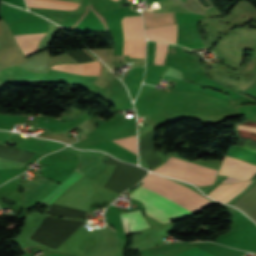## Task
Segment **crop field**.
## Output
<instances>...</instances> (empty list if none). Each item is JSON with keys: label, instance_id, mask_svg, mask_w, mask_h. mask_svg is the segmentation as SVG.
I'll return each instance as SVG.
<instances>
[{"label": "crop field", "instance_id": "obj_1", "mask_svg": "<svg viewBox=\"0 0 256 256\" xmlns=\"http://www.w3.org/2000/svg\"><path fill=\"white\" fill-rule=\"evenodd\" d=\"M141 187L160 193L182 206L196 212L213 203L198 193L177 185L167 179L149 173ZM139 187L130 197L144 202L146 213L164 223L176 220L194 212L178 203L152 191Z\"/></svg>", "mask_w": 256, "mask_h": 256}, {"label": "crop field", "instance_id": "obj_2", "mask_svg": "<svg viewBox=\"0 0 256 256\" xmlns=\"http://www.w3.org/2000/svg\"><path fill=\"white\" fill-rule=\"evenodd\" d=\"M154 172L197 185L212 184L217 173L214 169L173 157Z\"/></svg>", "mask_w": 256, "mask_h": 256}, {"label": "crop field", "instance_id": "obj_3", "mask_svg": "<svg viewBox=\"0 0 256 256\" xmlns=\"http://www.w3.org/2000/svg\"><path fill=\"white\" fill-rule=\"evenodd\" d=\"M104 162L117 165L105 188L119 194L137 184L148 173L138 166L120 162L108 154Z\"/></svg>", "mask_w": 256, "mask_h": 256}, {"label": "crop field", "instance_id": "obj_4", "mask_svg": "<svg viewBox=\"0 0 256 256\" xmlns=\"http://www.w3.org/2000/svg\"><path fill=\"white\" fill-rule=\"evenodd\" d=\"M256 172V165L224 155L220 175L229 176L222 183H234L249 179Z\"/></svg>", "mask_w": 256, "mask_h": 256}, {"label": "crop field", "instance_id": "obj_5", "mask_svg": "<svg viewBox=\"0 0 256 256\" xmlns=\"http://www.w3.org/2000/svg\"><path fill=\"white\" fill-rule=\"evenodd\" d=\"M139 152L146 164L153 170L163 163L155 149L154 131L139 135Z\"/></svg>", "mask_w": 256, "mask_h": 256}, {"label": "crop field", "instance_id": "obj_6", "mask_svg": "<svg viewBox=\"0 0 256 256\" xmlns=\"http://www.w3.org/2000/svg\"><path fill=\"white\" fill-rule=\"evenodd\" d=\"M125 41L145 38L141 16H128L122 20Z\"/></svg>", "mask_w": 256, "mask_h": 256}, {"label": "crop field", "instance_id": "obj_7", "mask_svg": "<svg viewBox=\"0 0 256 256\" xmlns=\"http://www.w3.org/2000/svg\"><path fill=\"white\" fill-rule=\"evenodd\" d=\"M148 39L158 40L175 44L176 42V24L151 29H145Z\"/></svg>", "mask_w": 256, "mask_h": 256}, {"label": "crop field", "instance_id": "obj_8", "mask_svg": "<svg viewBox=\"0 0 256 256\" xmlns=\"http://www.w3.org/2000/svg\"><path fill=\"white\" fill-rule=\"evenodd\" d=\"M56 65L52 67L55 69ZM83 64H62L57 65L55 70H63L71 73L82 74ZM100 73V63L97 61L95 62H88L84 63L83 74L85 75H99Z\"/></svg>", "mask_w": 256, "mask_h": 256}, {"label": "crop field", "instance_id": "obj_9", "mask_svg": "<svg viewBox=\"0 0 256 256\" xmlns=\"http://www.w3.org/2000/svg\"><path fill=\"white\" fill-rule=\"evenodd\" d=\"M121 219L123 222L125 232H132L145 227H149V224L142 216L140 211L122 213Z\"/></svg>", "mask_w": 256, "mask_h": 256}, {"label": "crop field", "instance_id": "obj_10", "mask_svg": "<svg viewBox=\"0 0 256 256\" xmlns=\"http://www.w3.org/2000/svg\"><path fill=\"white\" fill-rule=\"evenodd\" d=\"M240 125L256 128V123L249 122V121H247L246 123H241ZM240 125H238L237 129L256 134V129H252V128H248V127H244V126H240ZM239 130H237V131H238L240 137L256 141L255 134H251V133H247V132H243V131H239ZM242 138H240L241 139V143H240L241 147L256 151V142L242 139Z\"/></svg>", "mask_w": 256, "mask_h": 256}, {"label": "crop field", "instance_id": "obj_11", "mask_svg": "<svg viewBox=\"0 0 256 256\" xmlns=\"http://www.w3.org/2000/svg\"><path fill=\"white\" fill-rule=\"evenodd\" d=\"M28 7H40L51 9H76L79 4L62 2L58 0H26Z\"/></svg>", "mask_w": 256, "mask_h": 256}, {"label": "crop field", "instance_id": "obj_12", "mask_svg": "<svg viewBox=\"0 0 256 256\" xmlns=\"http://www.w3.org/2000/svg\"><path fill=\"white\" fill-rule=\"evenodd\" d=\"M83 174L78 169H74V171L71 173V175L58 187L56 188L52 193H50L45 199H43L41 202L51 205L55 199L73 182H75L77 179L82 177Z\"/></svg>", "mask_w": 256, "mask_h": 256}, {"label": "crop field", "instance_id": "obj_13", "mask_svg": "<svg viewBox=\"0 0 256 256\" xmlns=\"http://www.w3.org/2000/svg\"><path fill=\"white\" fill-rule=\"evenodd\" d=\"M145 39L128 41L124 43V53L130 54V57L144 58Z\"/></svg>", "mask_w": 256, "mask_h": 256}, {"label": "crop field", "instance_id": "obj_14", "mask_svg": "<svg viewBox=\"0 0 256 256\" xmlns=\"http://www.w3.org/2000/svg\"><path fill=\"white\" fill-rule=\"evenodd\" d=\"M143 13L147 28L173 24L171 14H151L146 12Z\"/></svg>", "mask_w": 256, "mask_h": 256}, {"label": "crop field", "instance_id": "obj_15", "mask_svg": "<svg viewBox=\"0 0 256 256\" xmlns=\"http://www.w3.org/2000/svg\"><path fill=\"white\" fill-rule=\"evenodd\" d=\"M113 141L125 147L126 149L130 150L131 152L137 154L136 137L129 136V137L113 140Z\"/></svg>", "mask_w": 256, "mask_h": 256}, {"label": "crop field", "instance_id": "obj_16", "mask_svg": "<svg viewBox=\"0 0 256 256\" xmlns=\"http://www.w3.org/2000/svg\"><path fill=\"white\" fill-rule=\"evenodd\" d=\"M168 44L156 42V52L154 64L163 65Z\"/></svg>", "mask_w": 256, "mask_h": 256}, {"label": "crop field", "instance_id": "obj_17", "mask_svg": "<svg viewBox=\"0 0 256 256\" xmlns=\"http://www.w3.org/2000/svg\"><path fill=\"white\" fill-rule=\"evenodd\" d=\"M173 256H213L197 247L190 248L182 253Z\"/></svg>", "mask_w": 256, "mask_h": 256}, {"label": "crop field", "instance_id": "obj_18", "mask_svg": "<svg viewBox=\"0 0 256 256\" xmlns=\"http://www.w3.org/2000/svg\"><path fill=\"white\" fill-rule=\"evenodd\" d=\"M244 182L236 183V184H233V185L229 186L220 195H218L215 198V200L221 201L224 197H226L227 195L233 193L238 187L242 186L244 184Z\"/></svg>", "mask_w": 256, "mask_h": 256}, {"label": "crop field", "instance_id": "obj_19", "mask_svg": "<svg viewBox=\"0 0 256 256\" xmlns=\"http://www.w3.org/2000/svg\"><path fill=\"white\" fill-rule=\"evenodd\" d=\"M229 185L230 184H220L212 192H210L207 196H209L211 198H214L215 196H217L221 191H223Z\"/></svg>", "mask_w": 256, "mask_h": 256}, {"label": "crop field", "instance_id": "obj_20", "mask_svg": "<svg viewBox=\"0 0 256 256\" xmlns=\"http://www.w3.org/2000/svg\"><path fill=\"white\" fill-rule=\"evenodd\" d=\"M23 164H19V163H15V162H11V161H6V160H2L0 159V168L3 167H18V168H22Z\"/></svg>", "mask_w": 256, "mask_h": 256}, {"label": "crop field", "instance_id": "obj_21", "mask_svg": "<svg viewBox=\"0 0 256 256\" xmlns=\"http://www.w3.org/2000/svg\"><path fill=\"white\" fill-rule=\"evenodd\" d=\"M252 181H246L245 184L240 187L237 191H235L233 194L227 196L222 202L227 203L232 197L240 193L242 190H244Z\"/></svg>", "mask_w": 256, "mask_h": 256}, {"label": "crop field", "instance_id": "obj_22", "mask_svg": "<svg viewBox=\"0 0 256 256\" xmlns=\"http://www.w3.org/2000/svg\"><path fill=\"white\" fill-rule=\"evenodd\" d=\"M87 54H89L94 60H96L89 52H87L84 48H82Z\"/></svg>", "mask_w": 256, "mask_h": 256}, {"label": "crop field", "instance_id": "obj_23", "mask_svg": "<svg viewBox=\"0 0 256 256\" xmlns=\"http://www.w3.org/2000/svg\"><path fill=\"white\" fill-rule=\"evenodd\" d=\"M251 179L256 180V174H255L254 177H252Z\"/></svg>", "mask_w": 256, "mask_h": 256}, {"label": "crop field", "instance_id": "obj_24", "mask_svg": "<svg viewBox=\"0 0 256 256\" xmlns=\"http://www.w3.org/2000/svg\"><path fill=\"white\" fill-rule=\"evenodd\" d=\"M115 1H117V0H115Z\"/></svg>", "mask_w": 256, "mask_h": 256}, {"label": "crop field", "instance_id": "obj_25", "mask_svg": "<svg viewBox=\"0 0 256 256\" xmlns=\"http://www.w3.org/2000/svg\"><path fill=\"white\" fill-rule=\"evenodd\" d=\"M115 231V230H114Z\"/></svg>", "mask_w": 256, "mask_h": 256}]
</instances>
